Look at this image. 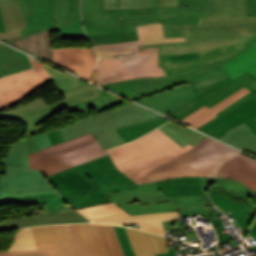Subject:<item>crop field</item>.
<instances>
[{"label":"crop field","mask_w":256,"mask_h":256,"mask_svg":"<svg viewBox=\"0 0 256 256\" xmlns=\"http://www.w3.org/2000/svg\"><path fill=\"white\" fill-rule=\"evenodd\" d=\"M53 192H56L55 189H54V188H50V189H44V190L27 191V192H22V193L10 194V193L6 190L5 174H0V198H5V197H17V196H27V195L44 194V193H53Z\"/></svg>","instance_id":"47"},{"label":"crop field","mask_w":256,"mask_h":256,"mask_svg":"<svg viewBox=\"0 0 256 256\" xmlns=\"http://www.w3.org/2000/svg\"><path fill=\"white\" fill-rule=\"evenodd\" d=\"M139 190L107 194L130 215L179 211L180 215L200 214L210 221L212 213L202 200L200 177H182L138 185Z\"/></svg>","instance_id":"3"},{"label":"crop field","mask_w":256,"mask_h":256,"mask_svg":"<svg viewBox=\"0 0 256 256\" xmlns=\"http://www.w3.org/2000/svg\"><path fill=\"white\" fill-rule=\"evenodd\" d=\"M159 128L163 130L167 135H169L182 147L188 143H190L193 146L197 142L206 137L198 132L185 128L172 121Z\"/></svg>","instance_id":"37"},{"label":"crop field","mask_w":256,"mask_h":256,"mask_svg":"<svg viewBox=\"0 0 256 256\" xmlns=\"http://www.w3.org/2000/svg\"><path fill=\"white\" fill-rule=\"evenodd\" d=\"M216 177L232 178L256 190V161L240 154L226 160L219 168Z\"/></svg>","instance_id":"20"},{"label":"crop field","mask_w":256,"mask_h":256,"mask_svg":"<svg viewBox=\"0 0 256 256\" xmlns=\"http://www.w3.org/2000/svg\"><path fill=\"white\" fill-rule=\"evenodd\" d=\"M0 31H4V29H3V23H2L1 13H0Z\"/></svg>","instance_id":"63"},{"label":"crop field","mask_w":256,"mask_h":256,"mask_svg":"<svg viewBox=\"0 0 256 256\" xmlns=\"http://www.w3.org/2000/svg\"><path fill=\"white\" fill-rule=\"evenodd\" d=\"M12 1H15V0H0V5L10 3Z\"/></svg>","instance_id":"62"},{"label":"crop field","mask_w":256,"mask_h":256,"mask_svg":"<svg viewBox=\"0 0 256 256\" xmlns=\"http://www.w3.org/2000/svg\"><path fill=\"white\" fill-rule=\"evenodd\" d=\"M31 67L28 56L0 45V68L4 75L26 70Z\"/></svg>","instance_id":"33"},{"label":"crop field","mask_w":256,"mask_h":256,"mask_svg":"<svg viewBox=\"0 0 256 256\" xmlns=\"http://www.w3.org/2000/svg\"><path fill=\"white\" fill-rule=\"evenodd\" d=\"M36 81H40V78L38 77L34 69L2 77L0 78V92Z\"/></svg>","instance_id":"42"},{"label":"crop field","mask_w":256,"mask_h":256,"mask_svg":"<svg viewBox=\"0 0 256 256\" xmlns=\"http://www.w3.org/2000/svg\"><path fill=\"white\" fill-rule=\"evenodd\" d=\"M149 7L160 6L159 0H148Z\"/></svg>","instance_id":"60"},{"label":"crop field","mask_w":256,"mask_h":256,"mask_svg":"<svg viewBox=\"0 0 256 256\" xmlns=\"http://www.w3.org/2000/svg\"><path fill=\"white\" fill-rule=\"evenodd\" d=\"M255 43L256 36L244 44L207 52L159 56L158 67H162L167 75L192 68L203 67L233 58Z\"/></svg>","instance_id":"13"},{"label":"crop field","mask_w":256,"mask_h":256,"mask_svg":"<svg viewBox=\"0 0 256 256\" xmlns=\"http://www.w3.org/2000/svg\"><path fill=\"white\" fill-rule=\"evenodd\" d=\"M90 222L78 212L58 213L51 215H39L29 218L15 219L0 222V230L13 229L26 226L52 224V223H76Z\"/></svg>","instance_id":"28"},{"label":"crop field","mask_w":256,"mask_h":256,"mask_svg":"<svg viewBox=\"0 0 256 256\" xmlns=\"http://www.w3.org/2000/svg\"><path fill=\"white\" fill-rule=\"evenodd\" d=\"M137 28L139 41L93 46L98 57L102 58L120 53L138 51V45L185 41L184 38L164 39L162 23L137 26Z\"/></svg>","instance_id":"16"},{"label":"crop field","mask_w":256,"mask_h":256,"mask_svg":"<svg viewBox=\"0 0 256 256\" xmlns=\"http://www.w3.org/2000/svg\"><path fill=\"white\" fill-rule=\"evenodd\" d=\"M222 224H224V223L221 221V219H219V220L213 222V225H214L215 228H216V232H217V234L219 235L220 240L225 239L224 234H223L222 231L220 230V229H223V228H224V226H223Z\"/></svg>","instance_id":"56"},{"label":"crop field","mask_w":256,"mask_h":256,"mask_svg":"<svg viewBox=\"0 0 256 256\" xmlns=\"http://www.w3.org/2000/svg\"><path fill=\"white\" fill-rule=\"evenodd\" d=\"M5 32H0V40L6 42L21 37L19 29L26 28L16 1L0 6Z\"/></svg>","instance_id":"30"},{"label":"crop field","mask_w":256,"mask_h":256,"mask_svg":"<svg viewBox=\"0 0 256 256\" xmlns=\"http://www.w3.org/2000/svg\"><path fill=\"white\" fill-rule=\"evenodd\" d=\"M18 6L21 10V13L23 15L24 21H30L32 20V12L30 7V1L29 0H17Z\"/></svg>","instance_id":"50"},{"label":"crop field","mask_w":256,"mask_h":256,"mask_svg":"<svg viewBox=\"0 0 256 256\" xmlns=\"http://www.w3.org/2000/svg\"><path fill=\"white\" fill-rule=\"evenodd\" d=\"M147 0H105L104 9L144 8Z\"/></svg>","instance_id":"46"},{"label":"crop field","mask_w":256,"mask_h":256,"mask_svg":"<svg viewBox=\"0 0 256 256\" xmlns=\"http://www.w3.org/2000/svg\"><path fill=\"white\" fill-rule=\"evenodd\" d=\"M156 256H177V255L175 253V249L171 248V249H169V253L159 254V255H156Z\"/></svg>","instance_id":"59"},{"label":"crop field","mask_w":256,"mask_h":256,"mask_svg":"<svg viewBox=\"0 0 256 256\" xmlns=\"http://www.w3.org/2000/svg\"><path fill=\"white\" fill-rule=\"evenodd\" d=\"M239 38L193 42L187 45L160 47V55L207 51L247 42L256 35V27L238 26Z\"/></svg>","instance_id":"19"},{"label":"crop field","mask_w":256,"mask_h":256,"mask_svg":"<svg viewBox=\"0 0 256 256\" xmlns=\"http://www.w3.org/2000/svg\"><path fill=\"white\" fill-rule=\"evenodd\" d=\"M47 4V28L50 31L59 30L61 39L69 38H86L83 27L81 25L79 14H74V26H63L55 28V7L56 0H46Z\"/></svg>","instance_id":"34"},{"label":"crop field","mask_w":256,"mask_h":256,"mask_svg":"<svg viewBox=\"0 0 256 256\" xmlns=\"http://www.w3.org/2000/svg\"><path fill=\"white\" fill-rule=\"evenodd\" d=\"M107 152L116 168L137 184L181 176L212 177L220 162L240 153L208 137L182 148L159 128Z\"/></svg>","instance_id":"1"},{"label":"crop field","mask_w":256,"mask_h":256,"mask_svg":"<svg viewBox=\"0 0 256 256\" xmlns=\"http://www.w3.org/2000/svg\"><path fill=\"white\" fill-rule=\"evenodd\" d=\"M72 169L106 193L138 189L136 183L114 168L109 155L77 165Z\"/></svg>","instance_id":"14"},{"label":"crop field","mask_w":256,"mask_h":256,"mask_svg":"<svg viewBox=\"0 0 256 256\" xmlns=\"http://www.w3.org/2000/svg\"><path fill=\"white\" fill-rule=\"evenodd\" d=\"M47 251L51 256H108L95 224L24 228L9 249V253Z\"/></svg>","instance_id":"4"},{"label":"crop field","mask_w":256,"mask_h":256,"mask_svg":"<svg viewBox=\"0 0 256 256\" xmlns=\"http://www.w3.org/2000/svg\"><path fill=\"white\" fill-rule=\"evenodd\" d=\"M243 86L251 92L217 113V118L197 128L199 130L212 123L213 121L219 119L233 108L247 100L249 97L256 94V76L248 71L233 79L228 73H226L211 79L204 80L195 85H191L190 88L197 98L175 109L167 115L180 120L203 105L210 108L211 106L218 104L220 101L236 92ZM254 120L256 121V118H254Z\"/></svg>","instance_id":"6"},{"label":"crop field","mask_w":256,"mask_h":256,"mask_svg":"<svg viewBox=\"0 0 256 256\" xmlns=\"http://www.w3.org/2000/svg\"><path fill=\"white\" fill-rule=\"evenodd\" d=\"M167 121L169 120L160 116L128 127L116 129V131L126 142H129L150 132Z\"/></svg>","instance_id":"38"},{"label":"crop field","mask_w":256,"mask_h":256,"mask_svg":"<svg viewBox=\"0 0 256 256\" xmlns=\"http://www.w3.org/2000/svg\"><path fill=\"white\" fill-rule=\"evenodd\" d=\"M51 145L47 133H43L11 145L6 155V159L0 161V163L29 168L27 153L38 151Z\"/></svg>","instance_id":"24"},{"label":"crop field","mask_w":256,"mask_h":256,"mask_svg":"<svg viewBox=\"0 0 256 256\" xmlns=\"http://www.w3.org/2000/svg\"><path fill=\"white\" fill-rule=\"evenodd\" d=\"M67 2L68 0H57L56 27L67 25Z\"/></svg>","instance_id":"48"},{"label":"crop field","mask_w":256,"mask_h":256,"mask_svg":"<svg viewBox=\"0 0 256 256\" xmlns=\"http://www.w3.org/2000/svg\"><path fill=\"white\" fill-rule=\"evenodd\" d=\"M73 13H79V0H69L68 25H73Z\"/></svg>","instance_id":"51"},{"label":"crop field","mask_w":256,"mask_h":256,"mask_svg":"<svg viewBox=\"0 0 256 256\" xmlns=\"http://www.w3.org/2000/svg\"><path fill=\"white\" fill-rule=\"evenodd\" d=\"M6 117L5 112L0 113V118Z\"/></svg>","instance_id":"64"},{"label":"crop field","mask_w":256,"mask_h":256,"mask_svg":"<svg viewBox=\"0 0 256 256\" xmlns=\"http://www.w3.org/2000/svg\"><path fill=\"white\" fill-rule=\"evenodd\" d=\"M210 197L221 208L230 211L228 214L238 220L242 231H246L252 220V211L248 204L234 194L219 189H210Z\"/></svg>","instance_id":"21"},{"label":"crop field","mask_w":256,"mask_h":256,"mask_svg":"<svg viewBox=\"0 0 256 256\" xmlns=\"http://www.w3.org/2000/svg\"><path fill=\"white\" fill-rule=\"evenodd\" d=\"M247 92H249L246 88H242L236 93L232 94L222 102H220L218 105L208 109L205 106L195 111L193 114L188 115L184 119L180 120L188 125H191L195 128L201 126L202 124L206 123L207 121L217 117L215 115L216 112L222 110L223 108L227 107L243 95H245ZM194 128V129H195Z\"/></svg>","instance_id":"31"},{"label":"crop field","mask_w":256,"mask_h":256,"mask_svg":"<svg viewBox=\"0 0 256 256\" xmlns=\"http://www.w3.org/2000/svg\"><path fill=\"white\" fill-rule=\"evenodd\" d=\"M161 6H166V5H178L177 0H160Z\"/></svg>","instance_id":"57"},{"label":"crop field","mask_w":256,"mask_h":256,"mask_svg":"<svg viewBox=\"0 0 256 256\" xmlns=\"http://www.w3.org/2000/svg\"><path fill=\"white\" fill-rule=\"evenodd\" d=\"M158 47L146 48L139 53L102 58L96 68L95 81L102 85L115 81L166 75L157 68Z\"/></svg>","instance_id":"8"},{"label":"crop field","mask_w":256,"mask_h":256,"mask_svg":"<svg viewBox=\"0 0 256 256\" xmlns=\"http://www.w3.org/2000/svg\"><path fill=\"white\" fill-rule=\"evenodd\" d=\"M212 178H205V177H201V182H202V196L204 199V202L206 204H212L209 197H208V186L210 184Z\"/></svg>","instance_id":"52"},{"label":"crop field","mask_w":256,"mask_h":256,"mask_svg":"<svg viewBox=\"0 0 256 256\" xmlns=\"http://www.w3.org/2000/svg\"><path fill=\"white\" fill-rule=\"evenodd\" d=\"M15 203L20 204H51V203H65L58 193L53 194H44V195H35V196H27V197H18L14 198Z\"/></svg>","instance_id":"45"},{"label":"crop field","mask_w":256,"mask_h":256,"mask_svg":"<svg viewBox=\"0 0 256 256\" xmlns=\"http://www.w3.org/2000/svg\"><path fill=\"white\" fill-rule=\"evenodd\" d=\"M63 99L51 105H47L41 97L32 100L17 109L6 111L8 119H16L24 122L27 127V137L42 132L40 126L36 124L45 121L53 116L57 111L74 104L83 103L95 99L98 96L110 95L91 85L77 88L62 93Z\"/></svg>","instance_id":"9"},{"label":"crop field","mask_w":256,"mask_h":256,"mask_svg":"<svg viewBox=\"0 0 256 256\" xmlns=\"http://www.w3.org/2000/svg\"><path fill=\"white\" fill-rule=\"evenodd\" d=\"M254 117H256V95L201 130L219 138L226 134L224 131L244 122L256 133V122L252 119Z\"/></svg>","instance_id":"18"},{"label":"crop field","mask_w":256,"mask_h":256,"mask_svg":"<svg viewBox=\"0 0 256 256\" xmlns=\"http://www.w3.org/2000/svg\"><path fill=\"white\" fill-rule=\"evenodd\" d=\"M226 133V135L219 139L256 154V134L244 123L226 131Z\"/></svg>","instance_id":"32"},{"label":"crop field","mask_w":256,"mask_h":256,"mask_svg":"<svg viewBox=\"0 0 256 256\" xmlns=\"http://www.w3.org/2000/svg\"><path fill=\"white\" fill-rule=\"evenodd\" d=\"M178 1L179 6L103 10L104 0H82V21L87 35L132 31L136 25L163 22L165 38L184 37L183 24H197L198 17H205L204 0Z\"/></svg>","instance_id":"2"},{"label":"crop field","mask_w":256,"mask_h":256,"mask_svg":"<svg viewBox=\"0 0 256 256\" xmlns=\"http://www.w3.org/2000/svg\"><path fill=\"white\" fill-rule=\"evenodd\" d=\"M221 64L233 78L247 70L256 75V44L239 56Z\"/></svg>","instance_id":"35"},{"label":"crop field","mask_w":256,"mask_h":256,"mask_svg":"<svg viewBox=\"0 0 256 256\" xmlns=\"http://www.w3.org/2000/svg\"><path fill=\"white\" fill-rule=\"evenodd\" d=\"M223 73H226V70L220 63H218L178 74L156 77L155 80L143 78L138 80L115 82L102 86L134 100L185 81L191 85Z\"/></svg>","instance_id":"10"},{"label":"crop field","mask_w":256,"mask_h":256,"mask_svg":"<svg viewBox=\"0 0 256 256\" xmlns=\"http://www.w3.org/2000/svg\"><path fill=\"white\" fill-rule=\"evenodd\" d=\"M205 8L198 24L256 26V16L246 17L245 0H205Z\"/></svg>","instance_id":"15"},{"label":"crop field","mask_w":256,"mask_h":256,"mask_svg":"<svg viewBox=\"0 0 256 256\" xmlns=\"http://www.w3.org/2000/svg\"><path fill=\"white\" fill-rule=\"evenodd\" d=\"M247 16L256 15V0H246Z\"/></svg>","instance_id":"55"},{"label":"crop field","mask_w":256,"mask_h":256,"mask_svg":"<svg viewBox=\"0 0 256 256\" xmlns=\"http://www.w3.org/2000/svg\"><path fill=\"white\" fill-rule=\"evenodd\" d=\"M0 256H50V253H21V254H8V250L0 251Z\"/></svg>","instance_id":"53"},{"label":"crop field","mask_w":256,"mask_h":256,"mask_svg":"<svg viewBox=\"0 0 256 256\" xmlns=\"http://www.w3.org/2000/svg\"><path fill=\"white\" fill-rule=\"evenodd\" d=\"M53 52L57 65L74 71L90 80L97 64V57L92 48H61L53 49Z\"/></svg>","instance_id":"17"},{"label":"crop field","mask_w":256,"mask_h":256,"mask_svg":"<svg viewBox=\"0 0 256 256\" xmlns=\"http://www.w3.org/2000/svg\"><path fill=\"white\" fill-rule=\"evenodd\" d=\"M48 180L66 202L76 209L111 202L104 192L96 189L71 168L48 177Z\"/></svg>","instance_id":"12"},{"label":"crop field","mask_w":256,"mask_h":256,"mask_svg":"<svg viewBox=\"0 0 256 256\" xmlns=\"http://www.w3.org/2000/svg\"><path fill=\"white\" fill-rule=\"evenodd\" d=\"M92 45L138 40L137 31L88 36Z\"/></svg>","instance_id":"44"},{"label":"crop field","mask_w":256,"mask_h":256,"mask_svg":"<svg viewBox=\"0 0 256 256\" xmlns=\"http://www.w3.org/2000/svg\"><path fill=\"white\" fill-rule=\"evenodd\" d=\"M31 7L33 21L25 23L27 29L20 30L23 36L46 28L45 0H31Z\"/></svg>","instance_id":"39"},{"label":"crop field","mask_w":256,"mask_h":256,"mask_svg":"<svg viewBox=\"0 0 256 256\" xmlns=\"http://www.w3.org/2000/svg\"><path fill=\"white\" fill-rule=\"evenodd\" d=\"M47 133L50 137L52 144H58L60 142H63V139L60 136V134L58 133L57 129L48 131Z\"/></svg>","instance_id":"54"},{"label":"crop field","mask_w":256,"mask_h":256,"mask_svg":"<svg viewBox=\"0 0 256 256\" xmlns=\"http://www.w3.org/2000/svg\"><path fill=\"white\" fill-rule=\"evenodd\" d=\"M6 184L10 193L52 187L38 171L9 166H6Z\"/></svg>","instance_id":"23"},{"label":"crop field","mask_w":256,"mask_h":256,"mask_svg":"<svg viewBox=\"0 0 256 256\" xmlns=\"http://www.w3.org/2000/svg\"><path fill=\"white\" fill-rule=\"evenodd\" d=\"M210 188H219V189L227 190L236 194L251 206L253 210V217L255 216L256 192L254 190L250 189L249 187L235 180L225 179V178H216V177H214Z\"/></svg>","instance_id":"36"},{"label":"crop field","mask_w":256,"mask_h":256,"mask_svg":"<svg viewBox=\"0 0 256 256\" xmlns=\"http://www.w3.org/2000/svg\"><path fill=\"white\" fill-rule=\"evenodd\" d=\"M118 235L119 242L124 250L125 256H135L132 248L130 246V243L128 241L126 231L124 227H117L114 226Z\"/></svg>","instance_id":"49"},{"label":"crop field","mask_w":256,"mask_h":256,"mask_svg":"<svg viewBox=\"0 0 256 256\" xmlns=\"http://www.w3.org/2000/svg\"><path fill=\"white\" fill-rule=\"evenodd\" d=\"M250 234L253 235L256 239V221H255V223H254V225H253V227L250 231Z\"/></svg>","instance_id":"61"},{"label":"crop field","mask_w":256,"mask_h":256,"mask_svg":"<svg viewBox=\"0 0 256 256\" xmlns=\"http://www.w3.org/2000/svg\"><path fill=\"white\" fill-rule=\"evenodd\" d=\"M97 227L109 256H124L114 227L111 225H97Z\"/></svg>","instance_id":"43"},{"label":"crop field","mask_w":256,"mask_h":256,"mask_svg":"<svg viewBox=\"0 0 256 256\" xmlns=\"http://www.w3.org/2000/svg\"><path fill=\"white\" fill-rule=\"evenodd\" d=\"M194 98L195 95L186 84L138 102L165 114Z\"/></svg>","instance_id":"22"},{"label":"crop field","mask_w":256,"mask_h":256,"mask_svg":"<svg viewBox=\"0 0 256 256\" xmlns=\"http://www.w3.org/2000/svg\"><path fill=\"white\" fill-rule=\"evenodd\" d=\"M30 60L34 65L35 71L37 72L42 81L0 93V110L16 104L18 101L30 94L32 91L52 79L46 72L40 61L31 57Z\"/></svg>","instance_id":"29"},{"label":"crop field","mask_w":256,"mask_h":256,"mask_svg":"<svg viewBox=\"0 0 256 256\" xmlns=\"http://www.w3.org/2000/svg\"><path fill=\"white\" fill-rule=\"evenodd\" d=\"M1 76H3V75H2V73H1V71H0V77H1Z\"/></svg>","instance_id":"65"},{"label":"crop field","mask_w":256,"mask_h":256,"mask_svg":"<svg viewBox=\"0 0 256 256\" xmlns=\"http://www.w3.org/2000/svg\"><path fill=\"white\" fill-rule=\"evenodd\" d=\"M41 63L43 64L47 72L50 74V76L54 79L55 84L58 90L60 91V93L88 84L69 74H66L60 70H57L43 62Z\"/></svg>","instance_id":"41"},{"label":"crop field","mask_w":256,"mask_h":256,"mask_svg":"<svg viewBox=\"0 0 256 256\" xmlns=\"http://www.w3.org/2000/svg\"><path fill=\"white\" fill-rule=\"evenodd\" d=\"M160 116L133 103L121 106L58 129L64 141L90 132L105 149L125 143L114 130Z\"/></svg>","instance_id":"5"},{"label":"crop field","mask_w":256,"mask_h":256,"mask_svg":"<svg viewBox=\"0 0 256 256\" xmlns=\"http://www.w3.org/2000/svg\"><path fill=\"white\" fill-rule=\"evenodd\" d=\"M7 43L55 64L49 29L18 38Z\"/></svg>","instance_id":"27"},{"label":"crop field","mask_w":256,"mask_h":256,"mask_svg":"<svg viewBox=\"0 0 256 256\" xmlns=\"http://www.w3.org/2000/svg\"><path fill=\"white\" fill-rule=\"evenodd\" d=\"M0 173H5V166L0 168ZM14 202L13 198L0 199V204Z\"/></svg>","instance_id":"58"},{"label":"crop field","mask_w":256,"mask_h":256,"mask_svg":"<svg viewBox=\"0 0 256 256\" xmlns=\"http://www.w3.org/2000/svg\"><path fill=\"white\" fill-rule=\"evenodd\" d=\"M122 103H126L124 100L114 96H104V97H98L94 101H90L87 103L79 104V105H74L70 108H68L69 112H75V111H80L83 110L86 116L91 115V112L89 109L94 108L96 112H99L101 110L107 109L109 107L119 105Z\"/></svg>","instance_id":"40"},{"label":"crop field","mask_w":256,"mask_h":256,"mask_svg":"<svg viewBox=\"0 0 256 256\" xmlns=\"http://www.w3.org/2000/svg\"><path fill=\"white\" fill-rule=\"evenodd\" d=\"M79 211L95 223L116 225L137 223L139 229L163 235H165V232L161 221L180 219L178 212L130 216L115 203L93 206Z\"/></svg>","instance_id":"11"},{"label":"crop field","mask_w":256,"mask_h":256,"mask_svg":"<svg viewBox=\"0 0 256 256\" xmlns=\"http://www.w3.org/2000/svg\"><path fill=\"white\" fill-rule=\"evenodd\" d=\"M126 231L136 256H155L168 252L164 237L131 228H126Z\"/></svg>","instance_id":"26"},{"label":"crop field","mask_w":256,"mask_h":256,"mask_svg":"<svg viewBox=\"0 0 256 256\" xmlns=\"http://www.w3.org/2000/svg\"><path fill=\"white\" fill-rule=\"evenodd\" d=\"M186 42L156 44L143 47L186 44L192 41L233 38L237 36V26L184 25Z\"/></svg>","instance_id":"25"},{"label":"crop field","mask_w":256,"mask_h":256,"mask_svg":"<svg viewBox=\"0 0 256 256\" xmlns=\"http://www.w3.org/2000/svg\"><path fill=\"white\" fill-rule=\"evenodd\" d=\"M103 155H106V152L90 133L39 152L30 153L28 157L30 169H39L47 177Z\"/></svg>","instance_id":"7"}]
</instances>
